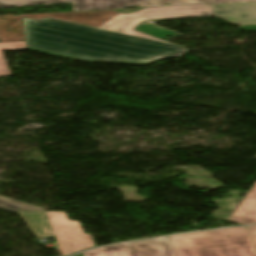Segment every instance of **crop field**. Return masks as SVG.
<instances>
[{"label": "crop field", "instance_id": "crop-field-1", "mask_svg": "<svg viewBox=\"0 0 256 256\" xmlns=\"http://www.w3.org/2000/svg\"><path fill=\"white\" fill-rule=\"evenodd\" d=\"M211 15L210 5L143 8L118 14L94 28L54 19L24 18L28 49L80 59L145 64L187 49L133 30L144 19L154 21Z\"/></svg>", "mask_w": 256, "mask_h": 256}, {"label": "crop field", "instance_id": "crop-field-2", "mask_svg": "<svg viewBox=\"0 0 256 256\" xmlns=\"http://www.w3.org/2000/svg\"><path fill=\"white\" fill-rule=\"evenodd\" d=\"M176 256H256L246 227L169 237Z\"/></svg>", "mask_w": 256, "mask_h": 256}, {"label": "crop field", "instance_id": "crop-field-3", "mask_svg": "<svg viewBox=\"0 0 256 256\" xmlns=\"http://www.w3.org/2000/svg\"><path fill=\"white\" fill-rule=\"evenodd\" d=\"M36 238L54 236L61 256L95 247L91 233L84 234L79 221L68 220L64 211L17 212Z\"/></svg>", "mask_w": 256, "mask_h": 256}, {"label": "crop field", "instance_id": "crop-field-4", "mask_svg": "<svg viewBox=\"0 0 256 256\" xmlns=\"http://www.w3.org/2000/svg\"><path fill=\"white\" fill-rule=\"evenodd\" d=\"M138 3H135V2ZM256 0H0V8L26 6L47 3L74 2L73 11L81 10H109L120 9L122 7L140 6L155 7L176 5H197V4H219V3H235V2H251Z\"/></svg>", "mask_w": 256, "mask_h": 256}, {"label": "crop field", "instance_id": "crop-field-5", "mask_svg": "<svg viewBox=\"0 0 256 256\" xmlns=\"http://www.w3.org/2000/svg\"><path fill=\"white\" fill-rule=\"evenodd\" d=\"M83 256H175L168 237L93 249L82 253Z\"/></svg>", "mask_w": 256, "mask_h": 256}, {"label": "crop field", "instance_id": "crop-field-6", "mask_svg": "<svg viewBox=\"0 0 256 256\" xmlns=\"http://www.w3.org/2000/svg\"><path fill=\"white\" fill-rule=\"evenodd\" d=\"M211 10L212 16L238 25L256 24V2L211 5Z\"/></svg>", "mask_w": 256, "mask_h": 256}, {"label": "crop field", "instance_id": "crop-field-7", "mask_svg": "<svg viewBox=\"0 0 256 256\" xmlns=\"http://www.w3.org/2000/svg\"><path fill=\"white\" fill-rule=\"evenodd\" d=\"M228 221L241 225L256 222V184L237 206Z\"/></svg>", "mask_w": 256, "mask_h": 256}, {"label": "crop field", "instance_id": "crop-field-8", "mask_svg": "<svg viewBox=\"0 0 256 256\" xmlns=\"http://www.w3.org/2000/svg\"><path fill=\"white\" fill-rule=\"evenodd\" d=\"M0 209L7 211H41L42 207L20 202L11 198L0 196Z\"/></svg>", "mask_w": 256, "mask_h": 256}, {"label": "crop field", "instance_id": "crop-field-9", "mask_svg": "<svg viewBox=\"0 0 256 256\" xmlns=\"http://www.w3.org/2000/svg\"><path fill=\"white\" fill-rule=\"evenodd\" d=\"M27 49L25 41L0 43V76L11 75L2 51Z\"/></svg>", "mask_w": 256, "mask_h": 256}, {"label": "crop field", "instance_id": "crop-field-10", "mask_svg": "<svg viewBox=\"0 0 256 256\" xmlns=\"http://www.w3.org/2000/svg\"><path fill=\"white\" fill-rule=\"evenodd\" d=\"M136 30L141 31L146 34H149V35L159 38L161 40H163L171 35L177 34V33H173L168 30L162 29L160 27H157L151 23L146 24V25H140L138 28H136Z\"/></svg>", "mask_w": 256, "mask_h": 256}, {"label": "crop field", "instance_id": "crop-field-11", "mask_svg": "<svg viewBox=\"0 0 256 256\" xmlns=\"http://www.w3.org/2000/svg\"><path fill=\"white\" fill-rule=\"evenodd\" d=\"M256 248V225L247 227Z\"/></svg>", "mask_w": 256, "mask_h": 256}, {"label": "crop field", "instance_id": "crop-field-12", "mask_svg": "<svg viewBox=\"0 0 256 256\" xmlns=\"http://www.w3.org/2000/svg\"><path fill=\"white\" fill-rule=\"evenodd\" d=\"M238 29H244V30H255L256 31V25H250V26H239Z\"/></svg>", "mask_w": 256, "mask_h": 256}, {"label": "crop field", "instance_id": "crop-field-13", "mask_svg": "<svg viewBox=\"0 0 256 256\" xmlns=\"http://www.w3.org/2000/svg\"><path fill=\"white\" fill-rule=\"evenodd\" d=\"M76 256H82V254L76 255Z\"/></svg>", "mask_w": 256, "mask_h": 256}]
</instances>
